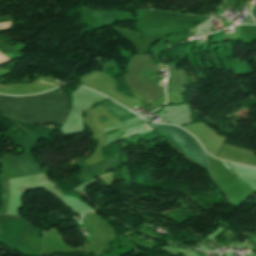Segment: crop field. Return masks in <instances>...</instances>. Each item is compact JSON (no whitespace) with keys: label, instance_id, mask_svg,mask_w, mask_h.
<instances>
[{"label":"crop field","instance_id":"crop-field-1","mask_svg":"<svg viewBox=\"0 0 256 256\" xmlns=\"http://www.w3.org/2000/svg\"><path fill=\"white\" fill-rule=\"evenodd\" d=\"M68 95L46 92L13 97L0 95V111L35 124H63L70 112Z\"/></svg>","mask_w":256,"mask_h":256},{"label":"crop field","instance_id":"crop-field-2","mask_svg":"<svg viewBox=\"0 0 256 256\" xmlns=\"http://www.w3.org/2000/svg\"><path fill=\"white\" fill-rule=\"evenodd\" d=\"M153 128L158 129L168 135L174 143L188 154L191 158L197 161L205 169H209V163L206 154L199 146L196 139H194L190 134L182 131L176 126H171L167 124H149Z\"/></svg>","mask_w":256,"mask_h":256},{"label":"crop field","instance_id":"crop-field-3","mask_svg":"<svg viewBox=\"0 0 256 256\" xmlns=\"http://www.w3.org/2000/svg\"><path fill=\"white\" fill-rule=\"evenodd\" d=\"M103 106L111 115L117 118L119 121H123L132 117H136L133 113L127 111L123 107L115 104L114 102L110 101L106 104H102Z\"/></svg>","mask_w":256,"mask_h":256},{"label":"crop field","instance_id":"crop-field-4","mask_svg":"<svg viewBox=\"0 0 256 256\" xmlns=\"http://www.w3.org/2000/svg\"><path fill=\"white\" fill-rule=\"evenodd\" d=\"M150 130H152L146 123H144Z\"/></svg>","mask_w":256,"mask_h":256},{"label":"crop field","instance_id":"crop-field-5","mask_svg":"<svg viewBox=\"0 0 256 256\" xmlns=\"http://www.w3.org/2000/svg\"><path fill=\"white\" fill-rule=\"evenodd\" d=\"M42 82V81H41ZM46 83V82H45ZM50 84V83H49ZM54 85V84H53Z\"/></svg>","mask_w":256,"mask_h":256}]
</instances>
